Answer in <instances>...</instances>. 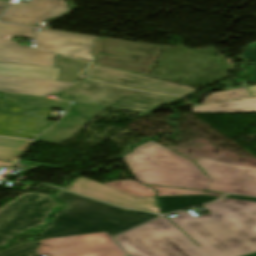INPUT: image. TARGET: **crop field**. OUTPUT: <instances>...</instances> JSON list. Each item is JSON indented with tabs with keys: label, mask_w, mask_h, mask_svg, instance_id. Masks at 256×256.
Masks as SVG:
<instances>
[{
	"label": "crop field",
	"mask_w": 256,
	"mask_h": 256,
	"mask_svg": "<svg viewBox=\"0 0 256 256\" xmlns=\"http://www.w3.org/2000/svg\"><path fill=\"white\" fill-rule=\"evenodd\" d=\"M74 84L62 81L0 76V92L41 97Z\"/></svg>",
	"instance_id": "5142ce71"
},
{
	"label": "crop field",
	"mask_w": 256,
	"mask_h": 256,
	"mask_svg": "<svg viewBox=\"0 0 256 256\" xmlns=\"http://www.w3.org/2000/svg\"><path fill=\"white\" fill-rule=\"evenodd\" d=\"M59 97L107 107L149 112L179 98L128 90L92 80L58 92Z\"/></svg>",
	"instance_id": "412701ff"
},
{
	"label": "crop field",
	"mask_w": 256,
	"mask_h": 256,
	"mask_svg": "<svg viewBox=\"0 0 256 256\" xmlns=\"http://www.w3.org/2000/svg\"><path fill=\"white\" fill-rule=\"evenodd\" d=\"M216 198L218 197L209 195L165 196L158 197V203L163 213L166 214L193 205L207 203Z\"/></svg>",
	"instance_id": "4a817a6b"
},
{
	"label": "crop field",
	"mask_w": 256,
	"mask_h": 256,
	"mask_svg": "<svg viewBox=\"0 0 256 256\" xmlns=\"http://www.w3.org/2000/svg\"><path fill=\"white\" fill-rule=\"evenodd\" d=\"M248 256H256V253H255V254L248 255Z\"/></svg>",
	"instance_id": "d32e631a"
},
{
	"label": "crop field",
	"mask_w": 256,
	"mask_h": 256,
	"mask_svg": "<svg viewBox=\"0 0 256 256\" xmlns=\"http://www.w3.org/2000/svg\"><path fill=\"white\" fill-rule=\"evenodd\" d=\"M125 160L143 183L204 191L211 182L191 161L152 141L135 148Z\"/></svg>",
	"instance_id": "34b2d1b8"
},
{
	"label": "crop field",
	"mask_w": 256,
	"mask_h": 256,
	"mask_svg": "<svg viewBox=\"0 0 256 256\" xmlns=\"http://www.w3.org/2000/svg\"><path fill=\"white\" fill-rule=\"evenodd\" d=\"M162 47L101 38L96 63L148 76Z\"/></svg>",
	"instance_id": "f4fd0767"
},
{
	"label": "crop field",
	"mask_w": 256,
	"mask_h": 256,
	"mask_svg": "<svg viewBox=\"0 0 256 256\" xmlns=\"http://www.w3.org/2000/svg\"><path fill=\"white\" fill-rule=\"evenodd\" d=\"M50 110H21L0 100V135L33 139L56 121L46 120Z\"/></svg>",
	"instance_id": "3316defc"
},
{
	"label": "crop field",
	"mask_w": 256,
	"mask_h": 256,
	"mask_svg": "<svg viewBox=\"0 0 256 256\" xmlns=\"http://www.w3.org/2000/svg\"><path fill=\"white\" fill-rule=\"evenodd\" d=\"M41 49L94 62L92 56L97 36L42 29L36 33Z\"/></svg>",
	"instance_id": "d1516ede"
},
{
	"label": "crop field",
	"mask_w": 256,
	"mask_h": 256,
	"mask_svg": "<svg viewBox=\"0 0 256 256\" xmlns=\"http://www.w3.org/2000/svg\"><path fill=\"white\" fill-rule=\"evenodd\" d=\"M65 190L86 195L126 208L143 209L146 211L161 214L157 206L155 197L135 198L111 187L86 179L84 177L75 180L72 185Z\"/></svg>",
	"instance_id": "22f410ed"
},
{
	"label": "crop field",
	"mask_w": 256,
	"mask_h": 256,
	"mask_svg": "<svg viewBox=\"0 0 256 256\" xmlns=\"http://www.w3.org/2000/svg\"><path fill=\"white\" fill-rule=\"evenodd\" d=\"M148 186L154 188L158 192V196L187 195V194H209V195L222 196V194H216V193H210V192L192 191V190L162 187V186H155V185H148Z\"/></svg>",
	"instance_id": "730fd06b"
},
{
	"label": "crop field",
	"mask_w": 256,
	"mask_h": 256,
	"mask_svg": "<svg viewBox=\"0 0 256 256\" xmlns=\"http://www.w3.org/2000/svg\"><path fill=\"white\" fill-rule=\"evenodd\" d=\"M240 57L252 61L253 70L256 78V43L246 45Z\"/></svg>",
	"instance_id": "eef30255"
},
{
	"label": "crop field",
	"mask_w": 256,
	"mask_h": 256,
	"mask_svg": "<svg viewBox=\"0 0 256 256\" xmlns=\"http://www.w3.org/2000/svg\"><path fill=\"white\" fill-rule=\"evenodd\" d=\"M105 185L111 186L135 197L156 196V192L154 190L132 180L115 181Z\"/></svg>",
	"instance_id": "00972430"
},
{
	"label": "crop field",
	"mask_w": 256,
	"mask_h": 256,
	"mask_svg": "<svg viewBox=\"0 0 256 256\" xmlns=\"http://www.w3.org/2000/svg\"><path fill=\"white\" fill-rule=\"evenodd\" d=\"M248 96H250V94L245 87L231 89V90H227V91L212 93L209 96H207L206 98H204V100L201 104L242 98V97H248Z\"/></svg>",
	"instance_id": "a9b5d70f"
},
{
	"label": "crop field",
	"mask_w": 256,
	"mask_h": 256,
	"mask_svg": "<svg viewBox=\"0 0 256 256\" xmlns=\"http://www.w3.org/2000/svg\"><path fill=\"white\" fill-rule=\"evenodd\" d=\"M83 74L89 75V78L109 82L131 89L174 94L182 97L196 91L195 89L141 75L122 72L95 64L86 69Z\"/></svg>",
	"instance_id": "28ad6ade"
},
{
	"label": "crop field",
	"mask_w": 256,
	"mask_h": 256,
	"mask_svg": "<svg viewBox=\"0 0 256 256\" xmlns=\"http://www.w3.org/2000/svg\"><path fill=\"white\" fill-rule=\"evenodd\" d=\"M11 164H12L11 162L0 161V166L10 167Z\"/></svg>",
	"instance_id": "1d83c4d3"
},
{
	"label": "crop field",
	"mask_w": 256,
	"mask_h": 256,
	"mask_svg": "<svg viewBox=\"0 0 256 256\" xmlns=\"http://www.w3.org/2000/svg\"><path fill=\"white\" fill-rule=\"evenodd\" d=\"M193 113H207V112H256V97L198 106L192 108Z\"/></svg>",
	"instance_id": "bc2a9ffb"
},
{
	"label": "crop field",
	"mask_w": 256,
	"mask_h": 256,
	"mask_svg": "<svg viewBox=\"0 0 256 256\" xmlns=\"http://www.w3.org/2000/svg\"><path fill=\"white\" fill-rule=\"evenodd\" d=\"M210 213L165 217L116 237L130 256H244L256 252V202L223 198L205 205Z\"/></svg>",
	"instance_id": "8a807250"
},
{
	"label": "crop field",
	"mask_w": 256,
	"mask_h": 256,
	"mask_svg": "<svg viewBox=\"0 0 256 256\" xmlns=\"http://www.w3.org/2000/svg\"><path fill=\"white\" fill-rule=\"evenodd\" d=\"M89 64L90 62L57 55L55 57L54 67H61L58 80L75 82L78 73L84 70Z\"/></svg>",
	"instance_id": "92a150f3"
},
{
	"label": "crop field",
	"mask_w": 256,
	"mask_h": 256,
	"mask_svg": "<svg viewBox=\"0 0 256 256\" xmlns=\"http://www.w3.org/2000/svg\"><path fill=\"white\" fill-rule=\"evenodd\" d=\"M6 3H7V0H0V14L4 10Z\"/></svg>",
	"instance_id": "bd1437ed"
},
{
	"label": "crop field",
	"mask_w": 256,
	"mask_h": 256,
	"mask_svg": "<svg viewBox=\"0 0 256 256\" xmlns=\"http://www.w3.org/2000/svg\"><path fill=\"white\" fill-rule=\"evenodd\" d=\"M56 197L65 201L66 209L55 213L52 225L39 233L38 239L101 231L114 236L157 217L143 211L120 209L60 190Z\"/></svg>",
	"instance_id": "ac0d7876"
},
{
	"label": "crop field",
	"mask_w": 256,
	"mask_h": 256,
	"mask_svg": "<svg viewBox=\"0 0 256 256\" xmlns=\"http://www.w3.org/2000/svg\"><path fill=\"white\" fill-rule=\"evenodd\" d=\"M248 89L251 91V93L253 94V96H256V86L248 87Z\"/></svg>",
	"instance_id": "120bbe31"
},
{
	"label": "crop field",
	"mask_w": 256,
	"mask_h": 256,
	"mask_svg": "<svg viewBox=\"0 0 256 256\" xmlns=\"http://www.w3.org/2000/svg\"><path fill=\"white\" fill-rule=\"evenodd\" d=\"M13 166H15L19 169H22L24 171H30V170L38 169V167L26 166V165H22V164H18V163H15Z\"/></svg>",
	"instance_id": "ae1a2a85"
},
{
	"label": "crop field",
	"mask_w": 256,
	"mask_h": 256,
	"mask_svg": "<svg viewBox=\"0 0 256 256\" xmlns=\"http://www.w3.org/2000/svg\"><path fill=\"white\" fill-rule=\"evenodd\" d=\"M1 98L17 103L22 109L31 108H54L66 109L68 102L49 100L34 96L15 95L2 93Z\"/></svg>",
	"instance_id": "214f88e0"
},
{
	"label": "crop field",
	"mask_w": 256,
	"mask_h": 256,
	"mask_svg": "<svg viewBox=\"0 0 256 256\" xmlns=\"http://www.w3.org/2000/svg\"><path fill=\"white\" fill-rule=\"evenodd\" d=\"M212 181L206 190L256 196V168L200 158L195 161Z\"/></svg>",
	"instance_id": "d8731c3e"
},
{
	"label": "crop field",
	"mask_w": 256,
	"mask_h": 256,
	"mask_svg": "<svg viewBox=\"0 0 256 256\" xmlns=\"http://www.w3.org/2000/svg\"><path fill=\"white\" fill-rule=\"evenodd\" d=\"M0 256H35L34 241L24 242L2 250Z\"/></svg>",
	"instance_id": "4177f3b9"
},
{
	"label": "crop field",
	"mask_w": 256,
	"mask_h": 256,
	"mask_svg": "<svg viewBox=\"0 0 256 256\" xmlns=\"http://www.w3.org/2000/svg\"><path fill=\"white\" fill-rule=\"evenodd\" d=\"M29 142L0 138V160L15 162Z\"/></svg>",
	"instance_id": "dafd665d"
},
{
	"label": "crop field",
	"mask_w": 256,
	"mask_h": 256,
	"mask_svg": "<svg viewBox=\"0 0 256 256\" xmlns=\"http://www.w3.org/2000/svg\"><path fill=\"white\" fill-rule=\"evenodd\" d=\"M227 198H234V199H241V200H249V201H256V198L251 197H243V196H236V195H228Z\"/></svg>",
	"instance_id": "d3111659"
},
{
	"label": "crop field",
	"mask_w": 256,
	"mask_h": 256,
	"mask_svg": "<svg viewBox=\"0 0 256 256\" xmlns=\"http://www.w3.org/2000/svg\"><path fill=\"white\" fill-rule=\"evenodd\" d=\"M38 255L125 256L106 232L40 240Z\"/></svg>",
	"instance_id": "e52e79f7"
},
{
	"label": "crop field",
	"mask_w": 256,
	"mask_h": 256,
	"mask_svg": "<svg viewBox=\"0 0 256 256\" xmlns=\"http://www.w3.org/2000/svg\"><path fill=\"white\" fill-rule=\"evenodd\" d=\"M13 36L34 39L29 27L0 23V62L53 67L54 56L57 54L20 45L11 41Z\"/></svg>",
	"instance_id": "5a996713"
},
{
	"label": "crop field",
	"mask_w": 256,
	"mask_h": 256,
	"mask_svg": "<svg viewBox=\"0 0 256 256\" xmlns=\"http://www.w3.org/2000/svg\"><path fill=\"white\" fill-rule=\"evenodd\" d=\"M65 119L58 121L54 126L39 136L36 141L58 144L73 137L89 121L75 112H67Z\"/></svg>",
	"instance_id": "d9b57169"
},
{
	"label": "crop field",
	"mask_w": 256,
	"mask_h": 256,
	"mask_svg": "<svg viewBox=\"0 0 256 256\" xmlns=\"http://www.w3.org/2000/svg\"><path fill=\"white\" fill-rule=\"evenodd\" d=\"M58 206L49 196L25 193L0 209V245L28 227L42 224L43 214Z\"/></svg>",
	"instance_id": "dd49c442"
},
{
	"label": "crop field",
	"mask_w": 256,
	"mask_h": 256,
	"mask_svg": "<svg viewBox=\"0 0 256 256\" xmlns=\"http://www.w3.org/2000/svg\"><path fill=\"white\" fill-rule=\"evenodd\" d=\"M60 68L0 63V75L57 80Z\"/></svg>",
	"instance_id": "733c2abd"
},
{
	"label": "crop field",
	"mask_w": 256,
	"mask_h": 256,
	"mask_svg": "<svg viewBox=\"0 0 256 256\" xmlns=\"http://www.w3.org/2000/svg\"><path fill=\"white\" fill-rule=\"evenodd\" d=\"M17 162L31 164V165H37V166H43V167H49V168H60V167H54V166H48V165H42V164H36V163H30V162H24V161H17Z\"/></svg>",
	"instance_id": "750c4746"
},
{
	"label": "crop field",
	"mask_w": 256,
	"mask_h": 256,
	"mask_svg": "<svg viewBox=\"0 0 256 256\" xmlns=\"http://www.w3.org/2000/svg\"><path fill=\"white\" fill-rule=\"evenodd\" d=\"M70 11L65 0H31L28 4H9L0 21L32 26Z\"/></svg>",
	"instance_id": "cbeb9de0"
}]
</instances>
